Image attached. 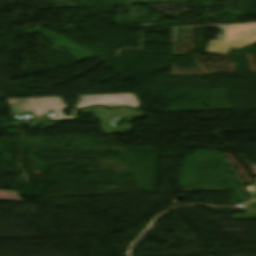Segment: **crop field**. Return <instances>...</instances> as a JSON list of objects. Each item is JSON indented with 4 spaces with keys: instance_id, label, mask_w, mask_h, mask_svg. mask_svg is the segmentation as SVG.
Masks as SVG:
<instances>
[{
    "instance_id": "1",
    "label": "crop field",
    "mask_w": 256,
    "mask_h": 256,
    "mask_svg": "<svg viewBox=\"0 0 256 256\" xmlns=\"http://www.w3.org/2000/svg\"><path fill=\"white\" fill-rule=\"evenodd\" d=\"M256 42V24L227 25L224 40L210 41L207 52L227 54L231 48H241Z\"/></svg>"
},
{
    "instance_id": "2",
    "label": "crop field",
    "mask_w": 256,
    "mask_h": 256,
    "mask_svg": "<svg viewBox=\"0 0 256 256\" xmlns=\"http://www.w3.org/2000/svg\"><path fill=\"white\" fill-rule=\"evenodd\" d=\"M0 200L21 201V197H19L16 192L0 191Z\"/></svg>"
}]
</instances>
